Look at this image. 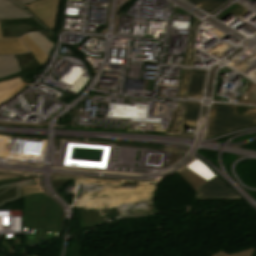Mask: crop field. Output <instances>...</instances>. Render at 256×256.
I'll return each mask as SVG.
<instances>
[{
	"label": "crop field",
	"instance_id": "crop-field-5",
	"mask_svg": "<svg viewBox=\"0 0 256 256\" xmlns=\"http://www.w3.org/2000/svg\"><path fill=\"white\" fill-rule=\"evenodd\" d=\"M29 13L10 0H0V19L29 18Z\"/></svg>",
	"mask_w": 256,
	"mask_h": 256
},
{
	"label": "crop field",
	"instance_id": "crop-field-2",
	"mask_svg": "<svg viewBox=\"0 0 256 256\" xmlns=\"http://www.w3.org/2000/svg\"><path fill=\"white\" fill-rule=\"evenodd\" d=\"M61 0H40L25 7L40 23L50 31H55Z\"/></svg>",
	"mask_w": 256,
	"mask_h": 256
},
{
	"label": "crop field",
	"instance_id": "crop-field-11",
	"mask_svg": "<svg viewBox=\"0 0 256 256\" xmlns=\"http://www.w3.org/2000/svg\"><path fill=\"white\" fill-rule=\"evenodd\" d=\"M177 174L185 182H187L195 191L201 184H203L206 181V180L202 179L201 177H199L196 173H194L187 167Z\"/></svg>",
	"mask_w": 256,
	"mask_h": 256
},
{
	"label": "crop field",
	"instance_id": "crop-field-19",
	"mask_svg": "<svg viewBox=\"0 0 256 256\" xmlns=\"http://www.w3.org/2000/svg\"><path fill=\"white\" fill-rule=\"evenodd\" d=\"M14 1L18 2L22 6L24 4L30 3L35 0H14Z\"/></svg>",
	"mask_w": 256,
	"mask_h": 256
},
{
	"label": "crop field",
	"instance_id": "crop-field-8",
	"mask_svg": "<svg viewBox=\"0 0 256 256\" xmlns=\"http://www.w3.org/2000/svg\"><path fill=\"white\" fill-rule=\"evenodd\" d=\"M23 74L38 73L42 68L31 53L15 55ZM22 58V60H20Z\"/></svg>",
	"mask_w": 256,
	"mask_h": 256
},
{
	"label": "crop field",
	"instance_id": "crop-field-6",
	"mask_svg": "<svg viewBox=\"0 0 256 256\" xmlns=\"http://www.w3.org/2000/svg\"><path fill=\"white\" fill-rule=\"evenodd\" d=\"M28 52L19 38H2L0 29V55Z\"/></svg>",
	"mask_w": 256,
	"mask_h": 256
},
{
	"label": "crop field",
	"instance_id": "crop-field-18",
	"mask_svg": "<svg viewBox=\"0 0 256 256\" xmlns=\"http://www.w3.org/2000/svg\"><path fill=\"white\" fill-rule=\"evenodd\" d=\"M21 178L20 176L17 175H5V174H0V183L8 180H15Z\"/></svg>",
	"mask_w": 256,
	"mask_h": 256
},
{
	"label": "crop field",
	"instance_id": "crop-field-12",
	"mask_svg": "<svg viewBox=\"0 0 256 256\" xmlns=\"http://www.w3.org/2000/svg\"><path fill=\"white\" fill-rule=\"evenodd\" d=\"M31 39L38 45V47L49 57L51 49H54V43L48 40L40 32L28 33Z\"/></svg>",
	"mask_w": 256,
	"mask_h": 256
},
{
	"label": "crop field",
	"instance_id": "crop-field-4",
	"mask_svg": "<svg viewBox=\"0 0 256 256\" xmlns=\"http://www.w3.org/2000/svg\"><path fill=\"white\" fill-rule=\"evenodd\" d=\"M3 37H18L29 31H44L45 29L34 20H1L0 21Z\"/></svg>",
	"mask_w": 256,
	"mask_h": 256
},
{
	"label": "crop field",
	"instance_id": "crop-field-13",
	"mask_svg": "<svg viewBox=\"0 0 256 256\" xmlns=\"http://www.w3.org/2000/svg\"><path fill=\"white\" fill-rule=\"evenodd\" d=\"M25 45L28 47V49L32 52L36 60L39 62V64L43 67V65L47 61V57L44 55V53L37 47V45L30 39V37L25 34L23 37H21Z\"/></svg>",
	"mask_w": 256,
	"mask_h": 256
},
{
	"label": "crop field",
	"instance_id": "crop-field-7",
	"mask_svg": "<svg viewBox=\"0 0 256 256\" xmlns=\"http://www.w3.org/2000/svg\"><path fill=\"white\" fill-rule=\"evenodd\" d=\"M24 86L20 77L0 82V104L12 97Z\"/></svg>",
	"mask_w": 256,
	"mask_h": 256
},
{
	"label": "crop field",
	"instance_id": "crop-field-16",
	"mask_svg": "<svg viewBox=\"0 0 256 256\" xmlns=\"http://www.w3.org/2000/svg\"><path fill=\"white\" fill-rule=\"evenodd\" d=\"M186 104L187 109L184 124L192 125L194 121H197L200 104L191 102H187Z\"/></svg>",
	"mask_w": 256,
	"mask_h": 256
},
{
	"label": "crop field",
	"instance_id": "crop-field-3",
	"mask_svg": "<svg viewBox=\"0 0 256 256\" xmlns=\"http://www.w3.org/2000/svg\"><path fill=\"white\" fill-rule=\"evenodd\" d=\"M39 190L33 179L0 185V207L23 198V192Z\"/></svg>",
	"mask_w": 256,
	"mask_h": 256
},
{
	"label": "crop field",
	"instance_id": "crop-field-15",
	"mask_svg": "<svg viewBox=\"0 0 256 256\" xmlns=\"http://www.w3.org/2000/svg\"><path fill=\"white\" fill-rule=\"evenodd\" d=\"M188 2L194 5H201L200 9L210 13L215 10L217 7L225 3L227 0H187Z\"/></svg>",
	"mask_w": 256,
	"mask_h": 256
},
{
	"label": "crop field",
	"instance_id": "crop-field-10",
	"mask_svg": "<svg viewBox=\"0 0 256 256\" xmlns=\"http://www.w3.org/2000/svg\"><path fill=\"white\" fill-rule=\"evenodd\" d=\"M21 71L14 55L0 56V78Z\"/></svg>",
	"mask_w": 256,
	"mask_h": 256
},
{
	"label": "crop field",
	"instance_id": "crop-field-14",
	"mask_svg": "<svg viewBox=\"0 0 256 256\" xmlns=\"http://www.w3.org/2000/svg\"><path fill=\"white\" fill-rule=\"evenodd\" d=\"M204 75L193 73L188 96L201 97Z\"/></svg>",
	"mask_w": 256,
	"mask_h": 256
},
{
	"label": "crop field",
	"instance_id": "crop-field-9",
	"mask_svg": "<svg viewBox=\"0 0 256 256\" xmlns=\"http://www.w3.org/2000/svg\"><path fill=\"white\" fill-rule=\"evenodd\" d=\"M79 211H80V215H81V219H82V221L79 224L83 228V230L89 229V228H94V227L104 223L102 218L107 217V216L98 217V214L96 212H92V211H84L82 209H79ZM106 219L108 221L112 220L108 217Z\"/></svg>",
	"mask_w": 256,
	"mask_h": 256
},
{
	"label": "crop field",
	"instance_id": "crop-field-17",
	"mask_svg": "<svg viewBox=\"0 0 256 256\" xmlns=\"http://www.w3.org/2000/svg\"><path fill=\"white\" fill-rule=\"evenodd\" d=\"M252 252H253V249H249V250L244 251V252L228 255L227 253H225L224 251L221 250V251H219L218 253H216L212 256H251Z\"/></svg>",
	"mask_w": 256,
	"mask_h": 256
},
{
	"label": "crop field",
	"instance_id": "crop-field-1",
	"mask_svg": "<svg viewBox=\"0 0 256 256\" xmlns=\"http://www.w3.org/2000/svg\"><path fill=\"white\" fill-rule=\"evenodd\" d=\"M252 125H256V111H250L244 117L236 114L233 107L213 105L209 123V137Z\"/></svg>",
	"mask_w": 256,
	"mask_h": 256
}]
</instances>
